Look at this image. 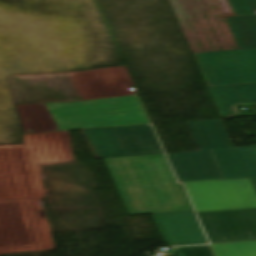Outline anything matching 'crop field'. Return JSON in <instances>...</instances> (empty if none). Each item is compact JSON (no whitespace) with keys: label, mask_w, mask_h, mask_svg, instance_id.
<instances>
[{"label":"crop field","mask_w":256,"mask_h":256,"mask_svg":"<svg viewBox=\"0 0 256 256\" xmlns=\"http://www.w3.org/2000/svg\"><path fill=\"white\" fill-rule=\"evenodd\" d=\"M104 160L130 215L192 210L164 154Z\"/></svg>","instance_id":"obj_1"},{"label":"crop field","mask_w":256,"mask_h":256,"mask_svg":"<svg viewBox=\"0 0 256 256\" xmlns=\"http://www.w3.org/2000/svg\"><path fill=\"white\" fill-rule=\"evenodd\" d=\"M224 179L184 183L197 212L256 208L253 147L212 150Z\"/></svg>","instance_id":"obj_2"},{"label":"crop field","mask_w":256,"mask_h":256,"mask_svg":"<svg viewBox=\"0 0 256 256\" xmlns=\"http://www.w3.org/2000/svg\"><path fill=\"white\" fill-rule=\"evenodd\" d=\"M46 106L59 131L152 124L139 96Z\"/></svg>","instance_id":"obj_3"},{"label":"crop field","mask_w":256,"mask_h":256,"mask_svg":"<svg viewBox=\"0 0 256 256\" xmlns=\"http://www.w3.org/2000/svg\"><path fill=\"white\" fill-rule=\"evenodd\" d=\"M170 2L194 53L238 50L224 19L235 16L228 0Z\"/></svg>","instance_id":"obj_4"},{"label":"crop field","mask_w":256,"mask_h":256,"mask_svg":"<svg viewBox=\"0 0 256 256\" xmlns=\"http://www.w3.org/2000/svg\"><path fill=\"white\" fill-rule=\"evenodd\" d=\"M200 152L168 154L181 182L223 178L211 149L234 148L222 120L188 122Z\"/></svg>","instance_id":"obj_5"},{"label":"crop field","mask_w":256,"mask_h":256,"mask_svg":"<svg viewBox=\"0 0 256 256\" xmlns=\"http://www.w3.org/2000/svg\"><path fill=\"white\" fill-rule=\"evenodd\" d=\"M197 215L216 256H256V210Z\"/></svg>","instance_id":"obj_6"},{"label":"crop field","mask_w":256,"mask_h":256,"mask_svg":"<svg viewBox=\"0 0 256 256\" xmlns=\"http://www.w3.org/2000/svg\"><path fill=\"white\" fill-rule=\"evenodd\" d=\"M193 55L208 86L256 82V50Z\"/></svg>","instance_id":"obj_7"},{"label":"crop field","mask_w":256,"mask_h":256,"mask_svg":"<svg viewBox=\"0 0 256 256\" xmlns=\"http://www.w3.org/2000/svg\"><path fill=\"white\" fill-rule=\"evenodd\" d=\"M152 215L169 246L208 244L193 211Z\"/></svg>","instance_id":"obj_8"},{"label":"crop field","mask_w":256,"mask_h":256,"mask_svg":"<svg viewBox=\"0 0 256 256\" xmlns=\"http://www.w3.org/2000/svg\"><path fill=\"white\" fill-rule=\"evenodd\" d=\"M110 129L123 157L163 153L150 125Z\"/></svg>","instance_id":"obj_9"},{"label":"crop field","mask_w":256,"mask_h":256,"mask_svg":"<svg viewBox=\"0 0 256 256\" xmlns=\"http://www.w3.org/2000/svg\"><path fill=\"white\" fill-rule=\"evenodd\" d=\"M236 17L225 18L239 50L256 49L255 0H229Z\"/></svg>","instance_id":"obj_10"},{"label":"crop field","mask_w":256,"mask_h":256,"mask_svg":"<svg viewBox=\"0 0 256 256\" xmlns=\"http://www.w3.org/2000/svg\"><path fill=\"white\" fill-rule=\"evenodd\" d=\"M208 88L222 118L238 117L233 106L256 104V83Z\"/></svg>","instance_id":"obj_11"},{"label":"crop field","mask_w":256,"mask_h":256,"mask_svg":"<svg viewBox=\"0 0 256 256\" xmlns=\"http://www.w3.org/2000/svg\"><path fill=\"white\" fill-rule=\"evenodd\" d=\"M82 131L96 159L122 157L109 128Z\"/></svg>","instance_id":"obj_12"},{"label":"crop field","mask_w":256,"mask_h":256,"mask_svg":"<svg viewBox=\"0 0 256 256\" xmlns=\"http://www.w3.org/2000/svg\"><path fill=\"white\" fill-rule=\"evenodd\" d=\"M171 252L173 256H213L208 246L176 248Z\"/></svg>","instance_id":"obj_13"},{"label":"crop field","mask_w":256,"mask_h":256,"mask_svg":"<svg viewBox=\"0 0 256 256\" xmlns=\"http://www.w3.org/2000/svg\"><path fill=\"white\" fill-rule=\"evenodd\" d=\"M252 180H253V183H254V185L256 187V178H252Z\"/></svg>","instance_id":"obj_14"}]
</instances>
